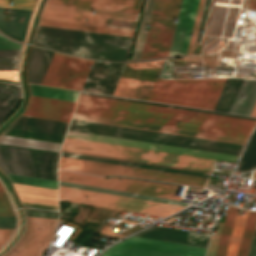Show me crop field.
<instances>
[{
	"label": "crop field",
	"mask_w": 256,
	"mask_h": 256,
	"mask_svg": "<svg viewBox=\"0 0 256 256\" xmlns=\"http://www.w3.org/2000/svg\"><path fill=\"white\" fill-rule=\"evenodd\" d=\"M41 18L60 20V21H68V22H76V23H84V24H92V25H100V26L104 25L105 19H106V18H101V17H93V16L70 14V13L47 11V10L43 11ZM85 19H88V20L86 21Z\"/></svg>",
	"instance_id": "23"
},
{
	"label": "crop field",
	"mask_w": 256,
	"mask_h": 256,
	"mask_svg": "<svg viewBox=\"0 0 256 256\" xmlns=\"http://www.w3.org/2000/svg\"><path fill=\"white\" fill-rule=\"evenodd\" d=\"M92 63L55 53L41 84L80 90Z\"/></svg>",
	"instance_id": "11"
},
{
	"label": "crop field",
	"mask_w": 256,
	"mask_h": 256,
	"mask_svg": "<svg viewBox=\"0 0 256 256\" xmlns=\"http://www.w3.org/2000/svg\"><path fill=\"white\" fill-rule=\"evenodd\" d=\"M31 94L67 101H77L79 92L30 85Z\"/></svg>",
	"instance_id": "25"
},
{
	"label": "crop field",
	"mask_w": 256,
	"mask_h": 256,
	"mask_svg": "<svg viewBox=\"0 0 256 256\" xmlns=\"http://www.w3.org/2000/svg\"><path fill=\"white\" fill-rule=\"evenodd\" d=\"M110 227H107V226H104L102 231H101V234L103 235H107V236H113V237H118V238H121L123 236L121 235H116L114 232H112L110 229Z\"/></svg>",
	"instance_id": "44"
},
{
	"label": "crop field",
	"mask_w": 256,
	"mask_h": 256,
	"mask_svg": "<svg viewBox=\"0 0 256 256\" xmlns=\"http://www.w3.org/2000/svg\"><path fill=\"white\" fill-rule=\"evenodd\" d=\"M141 0H48L46 4L137 15Z\"/></svg>",
	"instance_id": "16"
},
{
	"label": "crop field",
	"mask_w": 256,
	"mask_h": 256,
	"mask_svg": "<svg viewBox=\"0 0 256 256\" xmlns=\"http://www.w3.org/2000/svg\"><path fill=\"white\" fill-rule=\"evenodd\" d=\"M203 3H204V0H200V4H199L197 16H196V21H195V25H194V29H193V33H192V37H191V41H190V45H189V49H188L187 54H191V52H192V48H193V44H194V40H195V36H196V32H197L199 20H200V16H201V12H202Z\"/></svg>",
	"instance_id": "38"
},
{
	"label": "crop field",
	"mask_w": 256,
	"mask_h": 256,
	"mask_svg": "<svg viewBox=\"0 0 256 256\" xmlns=\"http://www.w3.org/2000/svg\"><path fill=\"white\" fill-rule=\"evenodd\" d=\"M3 134L38 139V140L52 141V142H58V143H61L64 138L61 136L40 134V133L13 130V129H8ZM5 135L0 136V144L28 147V148L56 151V152H59L60 145H61L58 143L11 137V136H5Z\"/></svg>",
	"instance_id": "17"
},
{
	"label": "crop field",
	"mask_w": 256,
	"mask_h": 256,
	"mask_svg": "<svg viewBox=\"0 0 256 256\" xmlns=\"http://www.w3.org/2000/svg\"><path fill=\"white\" fill-rule=\"evenodd\" d=\"M123 222L131 223V224H135L136 223V222L126 221V220H123Z\"/></svg>",
	"instance_id": "48"
},
{
	"label": "crop field",
	"mask_w": 256,
	"mask_h": 256,
	"mask_svg": "<svg viewBox=\"0 0 256 256\" xmlns=\"http://www.w3.org/2000/svg\"><path fill=\"white\" fill-rule=\"evenodd\" d=\"M37 0H0V7L32 11ZM13 2L14 5H10Z\"/></svg>",
	"instance_id": "33"
},
{
	"label": "crop field",
	"mask_w": 256,
	"mask_h": 256,
	"mask_svg": "<svg viewBox=\"0 0 256 256\" xmlns=\"http://www.w3.org/2000/svg\"><path fill=\"white\" fill-rule=\"evenodd\" d=\"M59 194L60 199L63 200L160 217L184 208L61 186H59ZM86 196L88 198H85Z\"/></svg>",
	"instance_id": "5"
},
{
	"label": "crop field",
	"mask_w": 256,
	"mask_h": 256,
	"mask_svg": "<svg viewBox=\"0 0 256 256\" xmlns=\"http://www.w3.org/2000/svg\"><path fill=\"white\" fill-rule=\"evenodd\" d=\"M15 217H0V228L14 229Z\"/></svg>",
	"instance_id": "39"
},
{
	"label": "crop field",
	"mask_w": 256,
	"mask_h": 256,
	"mask_svg": "<svg viewBox=\"0 0 256 256\" xmlns=\"http://www.w3.org/2000/svg\"><path fill=\"white\" fill-rule=\"evenodd\" d=\"M20 50H0V70H17ZM16 61V63H12Z\"/></svg>",
	"instance_id": "31"
},
{
	"label": "crop field",
	"mask_w": 256,
	"mask_h": 256,
	"mask_svg": "<svg viewBox=\"0 0 256 256\" xmlns=\"http://www.w3.org/2000/svg\"><path fill=\"white\" fill-rule=\"evenodd\" d=\"M119 179L120 178L103 179V177H94L78 173L59 171V180L61 181L97 186L173 200H180L179 197L173 196L177 189V187L175 186L127 179H121L120 181Z\"/></svg>",
	"instance_id": "9"
},
{
	"label": "crop field",
	"mask_w": 256,
	"mask_h": 256,
	"mask_svg": "<svg viewBox=\"0 0 256 256\" xmlns=\"http://www.w3.org/2000/svg\"><path fill=\"white\" fill-rule=\"evenodd\" d=\"M251 9H255L256 10V0H253V4H252V8Z\"/></svg>",
	"instance_id": "47"
},
{
	"label": "crop field",
	"mask_w": 256,
	"mask_h": 256,
	"mask_svg": "<svg viewBox=\"0 0 256 256\" xmlns=\"http://www.w3.org/2000/svg\"><path fill=\"white\" fill-rule=\"evenodd\" d=\"M59 185H61V186H67V187H73V188H79V189H85V190H91V191H96V192H102V193H108V194H114V195H120V196H125V197H131V198H137V199L155 201V202H160V203H166V204L184 206V207H187V206L191 205L190 203H185V202H177V201L159 199V198L148 197V196H142V195H136V194H135L136 196H133L134 194H131V193H125V192L107 190V189H102V188L84 186V185L73 184V183H67V182H61V181H59Z\"/></svg>",
	"instance_id": "24"
},
{
	"label": "crop field",
	"mask_w": 256,
	"mask_h": 256,
	"mask_svg": "<svg viewBox=\"0 0 256 256\" xmlns=\"http://www.w3.org/2000/svg\"><path fill=\"white\" fill-rule=\"evenodd\" d=\"M0 49H20V45L9 42L2 36H0Z\"/></svg>",
	"instance_id": "41"
},
{
	"label": "crop field",
	"mask_w": 256,
	"mask_h": 256,
	"mask_svg": "<svg viewBox=\"0 0 256 256\" xmlns=\"http://www.w3.org/2000/svg\"><path fill=\"white\" fill-rule=\"evenodd\" d=\"M0 191H4L1 185H0Z\"/></svg>",
	"instance_id": "49"
},
{
	"label": "crop field",
	"mask_w": 256,
	"mask_h": 256,
	"mask_svg": "<svg viewBox=\"0 0 256 256\" xmlns=\"http://www.w3.org/2000/svg\"><path fill=\"white\" fill-rule=\"evenodd\" d=\"M131 39L38 26L33 44L88 58L126 60Z\"/></svg>",
	"instance_id": "2"
},
{
	"label": "crop field",
	"mask_w": 256,
	"mask_h": 256,
	"mask_svg": "<svg viewBox=\"0 0 256 256\" xmlns=\"http://www.w3.org/2000/svg\"><path fill=\"white\" fill-rule=\"evenodd\" d=\"M0 78H6L18 82L17 71H0Z\"/></svg>",
	"instance_id": "42"
},
{
	"label": "crop field",
	"mask_w": 256,
	"mask_h": 256,
	"mask_svg": "<svg viewBox=\"0 0 256 256\" xmlns=\"http://www.w3.org/2000/svg\"><path fill=\"white\" fill-rule=\"evenodd\" d=\"M222 224L223 223H219L216 236L211 237L210 245H209L208 252H207L206 256H215V252H216V248H217V244H218Z\"/></svg>",
	"instance_id": "37"
},
{
	"label": "crop field",
	"mask_w": 256,
	"mask_h": 256,
	"mask_svg": "<svg viewBox=\"0 0 256 256\" xmlns=\"http://www.w3.org/2000/svg\"><path fill=\"white\" fill-rule=\"evenodd\" d=\"M26 216L57 219V212L44 210H24Z\"/></svg>",
	"instance_id": "35"
},
{
	"label": "crop field",
	"mask_w": 256,
	"mask_h": 256,
	"mask_svg": "<svg viewBox=\"0 0 256 256\" xmlns=\"http://www.w3.org/2000/svg\"><path fill=\"white\" fill-rule=\"evenodd\" d=\"M56 222L52 219L26 217L23 236L3 256H41L49 241L53 240Z\"/></svg>",
	"instance_id": "12"
},
{
	"label": "crop field",
	"mask_w": 256,
	"mask_h": 256,
	"mask_svg": "<svg viewBox=\"0 0 256 256\" xmlns=\"http://www.w3.org/2000/svg\"><path fill=\"white\" fill-rule=\"evenodd\" d=\"M72 147L91 148L95 150ZM62 149L210 171L215 160L66 138Z\"/></svg>",
	"instance_id": "4"
},
{
	"label": "crop field",
	"mask_w": 256,
	"mask_h": 256,
	"mask_svg": "<svg viewBox=\"0 0 256 256\" xmlns=\"http://www.w3.org/2000/svg\"><path fill=\"white\" fill-rule=\"evenodd\" d=\"M62 151H65V150H62ZM65 152H72V151H65ZM72 153H78V152H72ZM78 154H85V153H78ZM85 155H92V154H85ZM92 156L105 157V158H112V157L99 156V155H92ZM112 159H119V158H112ZM119 160L132 161V162H139V161H133V160H126V159H119ZM139 163L152 164V165H160V164H153V163H146V162H139ZM160 166H166V165H160ZM166 167H173V166H166ZM173 168H180V167H173ZM180 169L193 170V171H200V170L187 169V168H180ZM200 172L209 173V172H207V171H200Z\"/></svg>",
	"instance_id": "40"
},
{
	"label": "crop field",
	"mask_w": 256,
	"mask_h": 256,
	"mask_svg": "<svg viewBox=\"0 0 256 256\" xmlns=\"http://www.w3.org/2000/svg\"><path fill=\"white\" fill-rule=\"evenodd\" d=\"M0 215L15 216L6 193H0Z\"/></svg>",
	"instance_id": "34"
},
{
	"label": "crop field",
	"mask_w": 256,
	"mask_h": 256,
	"mask_svg": "<svg viewBox=\"0 0 256 256\" xmlns=\"http://www.w3.org/2000/svg\"><path fill=\"white\" fill-rule=\"evenodd\" d=\"M12 184L18 193L21 203L58 208L57 190L15 183ZM25 204L22 205L34 208L55 210L52 208L38 207Z\"/></svg>",
	"instance_id": "18"
},
{
	"label": "crop field",
	"mask_w": 256,
	"mask_h": 256,
	"mask_svg": "<svg viewBox=\"0 0 256 256\" xmlns=\"http://www.w3.org/2000/svg\"><path fill=\"white\" fill-rule=\"evenodd\" d=\"M243 96L245 99L242 98ZM255 102L256 80L244 79L229 112L249 116Z\"/></svg>",
	"instance_id": "21"
},
{
	"label": "crop field",
	"mask_w": 256,
	"mask_h": 256,
	"mask_svg": "<svg viewBox=\"0 0 256 256\" xmlns=\"http://www.w3.org/2000/svg\"><path fill=\"white\" fill-rule=\"evenodd\" d=\"M11 182L57 189V182L5 174Z\"/></svg>",
	"instance_id": "32"
},
{
	"label": "crop field",
	"mask_w": 256,
	"mask_h": 256,
	"mask_svg": "<svg viewBox=\"0 0 256 256\" xmlns=\"http://www.w3.org/2000/svg\"><path fill=\"white\" fill-rule=\"evenodd\" d=\"M255 221H256V212L249 211L237 256H247Z\"/></svg>",
	"instance_id": "29"
},
{
	"label": "crop field",
	"mask_w": 256,
	"mask_h": 256,
	"mask_svg": "<svg viewBox=\"0 0 256 256\" xmlns=\"http://www.w3.org/2000/svg\"><path fill=\"white\" fill-rule=\"evenodd\" d=\"M247 212L245 216H238V215L236 216V220H235V224L232 231L226 256H236L237 254Z\"/></svg>",
	"instance_id": "30"
},
{
	"label": "crop field",
	"mask_w": 256,
	"mask_h": 256,
	"mask_svg": "<svg viewBox=\"0 0 256 256\" xmlns=\"http://www.w3.org/2000/svg\"><path fill=\"white\" fill-rule=\"evenodd\" d=\"M181 0H155L141 59L167 56Z\"/></svg>",
	"instance_id": "6"
},
{
	"label": "crop field",
	"mask_w": 256,
	"mask_h": 256,
	"mask_svg": "<svg viewBox=\"0 0 256 256\" xmlns=\"http://www.w3.org/2000/svg\"><path fill=\"white\" fill-rule=\"evenodd\" d=\"M236 209L237 208L233 206H229L228 208V212H227V216L224 223V227H223V231L220 238L216 256H225L231 231H232V227L234 224L235 216H236Z\"/></svg>",
	"instance_id": "27"
},
{
	"label": "crop field",
	"mask_w": 256,
	"mask_h": 256,
	"mask_svg": "<svg viewBox=\"0 0 256 256\" xmlns=\"http://www.w3.org/2000/svg\"><path fill=\"white\" fill-rule=\"evenodd\" d=\"M59 169L79 171L97 175H127L137 176L184 185L203 188L206 180L191 176L177 175L171 173L157 172L151 170L137 169L131 167L117 166L111 164L97 163L91 161L77 160L61 157Z\"/></svg>",
	"instance_id": "7"
},
{
	"label": "crop field",
	"mask_w": 256,
	"mask_h": 256,
	"mask_svg": "<svg viewBox=\"0 0 256 256\" xmlns=\"http://www.w3.org/2000/svg\"><path fill=\"white\" fill-rule=\"evenodd\" d=\"M0 8V30L18 40L23 41L31 12L11 10L8 24L4 20Z\"/></svg>",
	"instance_id": "20"
},
{
	"label": "crop field",
	"mask_w": 256,
	"mask_h": 256,
	"mask_svg": "<svg viewBox=\"0 0 256 256\" xmlns=\"http://www.w3.org/2000/svg\"><path fill=\"white\" fill-rule=\"evenodd\" d=\"M211 174L220 175V176H226V177H229V176H230V175H227V174H221V173H215V172H212Z\"/></svg>",
	"instance_id": "45"
},
{
	"label": "crop field",
	"mask_w": 256,
	"mask_h": 256,
	"mask_svg": "<svg viewBox=\"0 0 256 256\" xmlns=\"http://www.w3.org/2000/svg\"><path fill=\"white\" fill-rule=\"evenodd\" d=\"M19 97H20V89L18 87L17 90L12 94V96L7 100V102L0 109V120L9 111V109L13 106V104L18 100Z\"/></svg>",
	"instance_id": "36"
},
{
	"label": "crop field",
	"mask_w": 256,
	"mask_h": 256,
	"mask_svg": "<svg viewBox=\"0 0 256 256\" xmlns=\"http://www.w3.org/2000/svg\"><path fill=\"white\" fill-rule=\"evenodd\" d=\"M250 116H256V104H255L254 109H253Z\"/></svg>",
	"instance_id": "46"
},
{
	"label": "crop field",
	"mask_w": 256,
	"mask_h": 256,
	"mask_svg": "<svg viewBox=\"0 0 256 256\" xmlns=\"http://www.w3.org/2000/svg\"><path fill=\"white\" fill-rule=\"evenodd\" d=\"M162 62L127 64L113 95L146 100Z\"/></svg>",
	"instance_id": "10"
},
{
	"label": "crop field",
	"mask_w": 256,
	"mask_h": 256,
	"mask_svg": "<svg viewBox=\"0 0 256 256\" xmlns=\"http://www.w3.org/2000/svg\"><path fill=\"white\" fill-rule=\"evenodd\" d=\"M199 0H182L168 56L186 54Z\"/></svg>",
	"instance_id": "14"
},
{
	"label": "crop field",
	"mask_w": 256,
	"mask_h": 256,
	"mask_svg": "<svg viewBox=\"0 0 256 256\" xmlns=\"http://www.w3.org/2000/svg\"><path fill=\"white\" fill-rule=\"evenodd\" d=\"M226 79H156L147 100L212 110Z\"/></svg>",
	"instance_id": "3"
},
{
	"label": "crop field",
	"mask_w": 256,
	"mask_h": 256,
	"mask_svg": "<svg viewBox=\"0 0 256 256\" xmlns=\"http://www.w3.org/2000/svg\"><path fill=\"white\" fill-rule=\"evenodd\" d=\"M206 249L131 236L100 256H204Z\"/></svg>",
	"instance_id": "8"
},
{
	"label": "crop field",
	"mask_w": 256,
	"mask_h": 256,
	"mask_svg": "<svg viewBox=\"0 0 256 256\" xmlns=\"http://www.w3.org/2000/svg\"><path fill=\"white\" fill-rule=\"evenodd\" d=\"M39 25L73 29V30H81V31H89V32H97V33H105V34H113V35H121V36H129V37H132V34H133V31H130V30L106 28V27L75 24V23L44 20V19L40 20Z\"/></svg>",
	"instance_id": "22"
},
{
	"label": "crop field",
	"mask_w": 256,
	"mask_h": 256,
	"mask_svg": "<svg viewBox=\"0 0 256 256\" xmlns=\"http://www.w3.org/2000/svg\"><path fill=\"white\" fill-rule=\"evenodd\" d=\"M12 232H13V230H2V229H0V247L10 237Z\"/></svg>",
	"instance_id": "43"
},
{
	"label": "crop field",
	"mask_w": 256,
	"mask_h": 256,
	"mask_svg": "<svg viewBox=\"0 0 256 256\" xmlns=\"http://www.w3.org/2000/svg\"><path fill=\"white\" fill-rule=\"evenodd\" d=\"M72 118L245 144L246 140L74 114Z\"/></svg>",
	"instance_id": "19"
},
{
	"label": "crop field",
	"mask_w": 256,
	"mask_h": 256,
	"mask_svg": "<svg viewBox=\"0 0 256 256\" xmlns=\"http://www.w3.org/2000/svg\"><path fill=\"white\" fill-rule=\"evenodd\" d=\"M76 103L41 97H31L25 116L69 122Z\"/></svg>",
	"instance_id": "15"
},
{
	"label": "crop field",
	"mask_w": 256,
	"mask_h": 256,
	"mask_svg": "<svg viewBox=\"0 0 256 256\" xmlns=\"http://www.w3.org/2000/svg\"><path fill=\"white\" fill-rule=\"evenodd\" d=\"M66 137L103 142V143H110V144H117V145H123V146H130V147H137V148H144V149H151V150H158V151H164V152L192 155V156H198V157L212 158V159L232 162V163H235L237 158V156L235 155L221 154V153H215V152L180 148V147L139 142V141H132V140H126V139L91 135V134L71 132V131L67 132Z\"/></svg>",
	"instance_id": "13"
},
{
	"label": "crop field",
	"mask_w": 256,
	"mask_h": 256,
	"mask_svg": "<svg viewBox=\"0 0 256 256\" xmlns=\"http://www.w3.org/2000/svg\"><path fill=\"white\" fill-rule=\"evenodd\" d=\"M74 113L244 139L256 123L254 120L84 95L80 96Z\"/></svg>",
	"instance_id": "1"
},
{
	"label": "crop field",
	"mask_w": 256,
	"mask_h": 256,
	"mask_svg": "<svg viewBox=\"0 0 256 256\" xmlns=\"http://www.w3.org/2000/svg\"><path fill=\"white\" fill-rule=\"evenodd\" d=\"M44 9L135 21L137 16L46 5ZM96 12V14H93Z\"/></svg>",
	"instance_id": "28"
},
{
	"label": "crop field",
	"mask_w": 256,
	"mask_h": 256,
	"mask_svg": "<svg viewBox=\"0 0 256 256\" xmlns=\"http://www.w3.org/2000/svg\"><path fill=\"white\" fill-rule=\"evenodd\" d=\"M153 3H154V0L146 1V5H145V9H144V13H143V17H142V21H141V25H140V29H139V33H138V37H137V41H136L132 59H140V57H141V53H142V49H143V45H144V41H145V37H146V33H147L146 28L149 23Z\"/></svg>",
	"instance_id": "26"
}]
</instances>
